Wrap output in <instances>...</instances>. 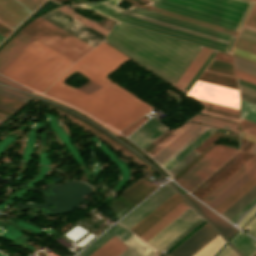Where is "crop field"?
<instances>
[{
  "label": "crop field",
  "mask_w": 256,
  "mask_h": 256,
  "mask_svg": "<svg viewBox=\"0 0 256 256\" xmlns=\"http://www.w3.org/2000/svg\"><path fill=\"white\" fill-rule=\"evenodd\" d=\"M255 213L256 206L242 218L241 222L238 224V227L241 228Z\"/></svg>",
  "instance_id": "obj_53"
},
{
  "label": "crop field",
  "mask_w": 256,
  "mask_h": 256,
  "mask_svg": "<svg viewBox=\"0 0 256 256\" xmlns=\"http://www.w3.org/2000/svg\"><path fill=\"white\" fill-rule=\"evenodd\" d=\"M205 223H206L205 220L201 222L198 226H196L193 230H191L188 234H186L182 239H180L177 243H175L172 247H170L167 251H165V253L168 254L169 252H171L175 247H177L180 243H182L186 238H188L192 233H194L197 229H199Z\"/></svg>",
  "instance_id": "obj_48"
},
{
  "label": "crop field",
  "mask_w": 256,
  "mask_h": 256,
  "mask_svg": "<svg viewBox=\"0 0 256 256\" xmlns=\"http://www.w3.org/2000/svg\"><path fill=\"white\" fill-rule=\"evenodd\" d=\"M53 11L56 12V13H58V14H60L61 16L65 17V18L69 19L70 21H72V22L78 24L79 26L85 28L86 30H88V31H90V32H92V33H94L95 35H97V36H99V37H101V38L104 39L105 36L99 34L98 32L92 30L91 28L85 26L84 24H82V23L78 22L77 20L71 18L70 16L64 14L63 12H61V11H59V10H57V9H55V10H53Z\"/></svg>",
  "instance_id": "obj_41"
},
{
  "label": "crop field",
  "mask_w": 256,
  "mask_h": 256,
  "mask_svg": "<svg viewBox=\"0 0 256 256\" xmlns=\"http://www.w3.org/2000/svg\"><path fill=\"white\" fill-rule=\"evenodd\" d=\"M233 55H234V54H233ZM234 56H237V55H234ZM237 57H239V56H237ZM239 58H242V57H239ZM242 59H245V58H242ZM245 60H248V59H245ZM248 61L253 62V61H251V60H248ZM253 63H256V62H253Z\"/></svg>",
  "instance_id": "obj_68"
},
{
  "label": "crop field",
  "mask_w": 256,
  "mask_h": 256,
  "mask_svg": "<svg viewBox=\"0 0 256 256\" xmlns=\"http://www.w3.org/2000/svg\"><path fill=\"white\" fill-rule=\"evenodd\" d=\"M128 246H130L137 254L140 256H154L156 250L151 248L149 245L144 243L134 234L124 241Z\"/></svg>",
  "instance_id": "obj_31"
},
{
  "label": "crop field",
  "mask_w": 256,
  "mask_h": 256,
  "mask_svg": "<svg viewBox=\"0 0 256 256\" xmlns=\"http://www.w3.org/2000/svg\"><path fill=\"white\" fill-rule=\"evenodd\" d=\"M107 44L174 85L201 46L118 22Z\"/></svg>",
  "instance_id": "obj_2"
},
{
  "label": "crop field",
  "mask_w": 256,
  "mask_h": 256,
  "mask_svg": "<svg viewBox=\"0 0 256 256\" xmlns=\"http://www.w3.org/2000/svg\"><path fill=\"white\" fill-rule=\"evenodd\" d=\"M235 71H236V75H237L238 78H241L243 80H246V81H249V82H252V83L256 84V76L244 73V72L236 70V69H235Z\"/></svg>",
  "instance_id": "obj_49"
},
{
  "label": "crop field",
  "mask_w": 256,
  "mask_h": 256,
  "mask_svg": "<svg viewBox=\"0 0 256 256\" xmlns=\"http://www.w3.org/2000/svg\"><path fill=\"white\" fill-rule=\"evenodd\" d=\"M0 103L4 104V105H7V106H11V107L17 108V109H19L23 105H25V103H22V102H19V101H15V100L3 97V96H0Z\"/></svg>",
  "instance_id": "obj_45"
},
{
  "label": "crop field",
  "mask_w": 256,
  "mask_h": 256,
  "mask_svg": "<svg viewBox=\"0 0 256 256\" xmlns=\"http://www.w3.org/2000/svg\"><path fill=\"white\" fill-rule=\"evenodd\" d=\"M247 233H249L250 235L256 238V225Z\"/></svg>",
  "instance_id": "obj_65"
},
{
  "label": "crop field",
  "mask_w": 256,
  "mask_h": 256,
  "mask_svg": "<svg viewBox=\"0 0 256 256\" xmlns=\"http://www.w3.org/2000/svg\"><path fill=\"white\" fill-rule=\"evenodd\" d=\"M59 10L63 11L64 13L70 15L71 17L77 19L78 21L84 23L85 25L91 27L92 29L98 31L99 33L103 34V35H107V33L109 31H107L106 29H104L103 27L89 21L87 18L79 15L78 13L66 8V7H61V8H58Z\"/></svg>",
  "instance_id": "obj_34"
},
{
  "label": "crop field",
  "mask_w": 256,
  "mask_h": 256,
  "mask_svg": "<svg viewBox=\"0 0 256 256\" xmlns=\"http://www.w3.org/2000/svg\"><path fill=\"white\" fill-rule=\"evenodd\" d=\"M200 217L201 216L190 207L147 243L159 250Z\"/></svg>",
  "instance_id": "obj_9"
},
{
  "label": "crop field",
  "mask_w": 256,
  "mask_h": 256,
  "mask_svg": "<svg viewBox=\"0 0 256 256\" xmlns=\"http://www.w3.org/2000/svg\"><path fill=\"white\" fill-rule=\"evenodd\" d=\"M185 195L223 233L228 240L238 231L191 197L189 194L186 193Z\"/></svg>",
  "instance_id": "obj_21"
},
{
  "label": "crop field",
  "mask_w": 256,
  "mask_h": 256,
  "mask_svg": "<svg viewBox=\"0 0 256 256\" xmlns=\"http://www.w3.org/2000/svg\"><path fill=\"white\" fill-rule=\"evenodd\" d=\"M252 256H256V253H254Z\"/></svg>",
  "instance_id": "obj_72"
},
{
  "label": "crop field",
  "mask_w": 256,
  "mask_h": 256,
  "mask_svg": "<svg viewBox=\"0 0 256 256\" xmlns=\"http://www.w3.org/2000/svg\"><path fill=\"white\" fill-rule=\"evenodd\" d=\"M217 129L210 128L202 136H200L196 141H194L190 146H188L184 151H182L178 156H176L172 161H170L163 168L168 172L173 168L180 160H182L188 153L195 149L199 144H201L207 137H209Z\"/></svg>",
  "instance_id": "obj_30"
},
{
  "label": "crop field",
  "mask_w": 256,
  "mask_h": 256,
  "mask_svg": "<svg viewBox=\"0 0 256 256\" xmlns=\"http://www.w3.org/2000/svg\"><path fill=\"white\" fill-rule=\"evenodd\" d=\"M159 254H160L159 252H156L155 256H159Z\"/></svg>",
  "instance_id": "obj_70"
},
{
  "label": "crop field",
  "mask_w": 256,
  "mask_h": 256,
  "mask_svg": "<svg viewBox=\"0 0 256 256\" xmlns=\"http://www.w3.org/2000/svg\"><path fill=\"white\" fill-rule=\"evenodd\" d=\"M30 11H34L44 0H17Z\"/></svg>",
  "instance_id": "obj_42"
},
{
  "label": "crop field",
  "mask_w": 256,
  "mask_h": 256,
  "mask_svg": "<svg viewBox=\"0 0 256 256\" xmlns=\"http://www.w3.org/2000/svg\"><path fill=\"white\" fill-rule=\"evenodd\" d=\"M186 96L238 109L239 99L235 89L197 81Z\"/></svg>",
  "instance_id": "obj_8"
},
{
  "label": "crop field",
  "mask_w": 256,
  "mask_h": 256,
  "mask_svg": "<svg viewBox=\"0 0 256 256\" xmlns=\"http://www.w3.org/2000/svg\"><path fill=\"white\" fill-rule=\"evenodd\" d=\"M241 127L243 131L256 135V124L247 120L241 119Z\"/></svg>",
  "instance_id": "obj_43"
},
{
  "label": "crop field",
  "mask_w": 256,
  "mask_h": 256,
  "mask_svg": "<svg viewBox=\"0 0 256 256\" xmlns=\"http://www.w3.org/2000/svg\"><path fill=\"white\" fill-rule=\"evenodd\" d=\"M255 163H256V156L251 158L247 163H245L241 168H239L235 173H233L229 178H227L223 183H221L217 188H215L211 193H209L201 201H203L207 205L209 202H211L216 196H218L223 190H225L230 184H232L237 178H239L244 172H246Z\"/></svg>",
  "instance_id": "obj_23"
},
{
  "label": "crop field",
  "mask_w": 256,
  "mask_h": 256,
  "mask_svg": "<svg viewBox=\"0 0 256 256\" xmlns=\"http://www.w3.org/2000/svg\"><path fill=\"white\" fill-rule=\"evenodd\" d=\"M240 117L256 123V106L241 101Z\"/></svg>",
  "instance_id": "obj_35"
},
{
  "label": "crop field",
  "mask_w": 256,
  "mask_h": 256,
  "mask_svg": "<svg viewBox=\"0 0 256 256\" xmlns=\"http://www.w3.org/2000/svg\"><path fill=\"white\" fill-rule=\"evenodd\" d=\"M11 31L12 30H10L8 27L0 23V34L6 37Z\"/></svg>",
  "instance_id": "obj_59"
},
{
  "label": "crop field",
  "mask_w": 256,
  "mask_h": 256,
  "mask_svg": "<svg viewBox=\"0 0 256 256\" xmlns=\"http://www.w3.org/2000/svg\"><path fill=\"white\" fill-rule=\"evenodd\" d=\"M9 115H6V114H3V113H0V119H3L5 120L6 118H8Z\"/></svg>",
  "instance_id": "obj_67"
},
{
  "label": "crop field",
  "mask_w": 256,
  "mask_h": 256,
  "mask_svg": "<svg viewBox=\"0 0 256 256\" xmlns=\"http://www.w3.org/2000/svg\"><path fill=\"white\" fill-rule=\"evenodd\" d=\"M0 82L4 83V84H6V85H9V86L18 88V89H20V90L29 92V93L31 92L30 90H28V89H26V88H24V87H22V86H20V85H18V84H15V83H13V82H11V81H9V80H7V79L1 77V76H0Z\"/></svg>",
  "instance_id": "obj_51"
},
{
  "label": "crop field",
  "mask_w": 256,
  "mask_h": 256,
  "mask_svg": "<svg viewBox=\"0 0 256 256\" xmlns=\"http://www.w3.org/2000/svg\"><path fill=\"white\" fill-rule=\"evenodd\" d=\"M241 137H242V138H245V139H247V140L256 142V136L251 135V134H248V133H246V132H243V131H242Z\"/></svg>",
  "instance_id": "obj_60"
},
{
  "label": "crop field",
  "mask_w": 256,
  "mask_h": 256,
  "mask_svg": "<svg viewBox=\"0 0 256 256\" xmlns=\"http://www.w3.org/2000/svg\"><path fill=\"white\" fill-rule=\"evenodd\" d=\"M233 59H234V65L236 69L256 75V64L250 63L248 61L239 59L234 56H233Z\"/></svg>",
  "instance_id": "obj_37"
},
{
  "label": "crop field",
  "mask_w": 256,
  "mask_h": 256,
  "mask_svg": "<svg viewBox=\"0 0 256 256\" xmlns=\"http://www.w3.org/2000/svg\"><path fill=\"white\" fill-rule=\"evenodd\" d=\"M160 256H165V255H163V254H160Z\"/></svg>",
  "instance_id": "obj_73"
},
{
  "label": "crop field",
  "mask_w": 256,
  "mask_h": 256,
  "mask_svg": "<svg viewBox=\"0 0 256 256\" xmlns=\"http://www.w3.org/2000/svg\"><path fill=\"white\" fill-rule=\"evenodd\" d=\"M189 207L190 206L184 200L139 237L147 242Z\"/></svg>",
  "instance_id": "obj_19"
},
{
  "label": "crop field",
  "mask_w": 256,
  "mask_h": 256,
  "mask_svg": "<svg viewBox=\"0 0 256 256\" xmlns=\"http://www.w3.org/2000/svg\"><path fill=\"white\" fill-rule=\"evenodd\" d=\"M121 0H101L79 6L94 10L115 20L230 54L235 36L129 6H117Z\"/></svg>",
  "instance_id": "obj_3"
},
{
  "label": "crop field",
  "mask_w": 256,
  "mask_h": 256,
  "mask_svg": "<svg viewBox=\"0 0 256 256\" xmlns=\"http://www.w3.org/2000/svg\"><path fill=\"white\" fill-rule=\"evenodd\" d=\"M127 248L126 245L114 236L90 256H118Z\"/></svg>",
  "instance_id": "obj_25"
},
{
  "label": "crop field",
  "mask_w": 256,
  "mask_h": 256,
  "mask_svg": "<svg viewBox=\"0 0 256 256\" xmlns=\"http://www.w3.org/2000/svg\"><path fill=\"white\" fill-rule=\"evenodd\" d=\"M175 192L176 191L166 183L158 192L152 195L118 223L129 229Z\"/></svg>",
  "instance_id": "obj_10"
},
{
  "label": "crop field",
  "mask_w": 256,
  "mask_h": 256,
  "mask_svg": "<svg viewBox=\"0 0 256 256\" xmlns=\"http://www.w3.org/2000/svg\"><path fill=\"white\" fill-rule=\"evenodd\" d=\"M255 197H256V185L252 189H250L245 195H243L238 201H236L232 206H230L221 215H223L225 218L229 220L237 212H239L244 206H246L250 201H252Z\"/></svg>",
  "instance_id": "obj_28"
},
{
  "label": "crop field",
  "mask_w": 256,
  "mask_h": 256,
  "mask_svg": "<svg viewBox=\"0 0 256 256\" xmlns=\"http://www.w3.org/2000/svg\"><path fill=\"white\" fill-rule=\"evenodd\" d=\"M199 102L206 105V106H210V107H214V108H218V109H222V110H225V111H229V112H233V113L238 114V110H236V109H232V108H228V107H224V106H219V105H215V104H211V103H207V102H202V101H199Z\"/></svg>",
  "instance_id": "obj_52"
},
{
  "label": "crop field",
  "mask_w": 256,
  "mask_h": 256,
  "mask_svg": "<svg viewBox=\"0 0 256 256\" xmlns=\"http://www.w3.org/2000/svg\"><path fill=\"white\" fill-rule=\"evenodd\" d=\"M0 107L5 108V109H8V110H11V111H14V112L17 111V109L10 108V107H7V106L1 105V104H0Z\"/></svg>",
  "instance_id": "obj_66"
},
{
  "label": "crop field",
  "mask_w": 256,
  "mask_h": 256,
  "mask_svg": "<svg viewBox=\"0 0 256 256\" xmlns=\"http://www.w3.org/2000/svg\"><path fill=\"white\" fill-rule=\"evenodd\" d=\"M237 151L216 146L175 181L190 192Z\"/></svg>",
  "instance_id": "obj_7"
},
{
  "label": "crop field",
  "mask_w": 256,
  "mask_h": 256,
  "mask_svg": "<svg viewBox=\"0 0 256 256\" xmlns=\"http://www.w3.org/2000/svg\"><path fill=\"white\" fill-rule=\"evenodd\" d=\"M232 53L237 54V55L242 56V57H245V58H248V59H251L253 61H256V55L245 52V51H242L240 49H237V48L233 47Z\"/></svg>",
  "instance_id": "obj_50"
},
{
  "label": "crop field",
  "mask_w": 256,
  "mask_h": 256,
  "mask_svg": "<svg viewBox=\"0 0 256 256\" xmlns=\"http://www.w3.org/2000/svg\"><path fill=\"white\" fill-rule=\"evenodd\" d=\"M127 59L102 42L78 60L44 94L70 103L120 131L153 108L104 77ZM75 70L104 88L88 95L60 82Z\"/></svg>",
  "instance_id": "obj_1"
},
{
  "label": "crop field",
  "mask_w": 256,
  "mask_h": 256,
  "mask_svg": "<svg viewBox=\"0 0 256 256\" xmlns=\"http://www.w3.org/2000/svg\"><path fill=\"white\" fill-rule=\"evenodd\" d=\"M189 121L197 122V123H202L214 127H219L227 130H232L237 133H239V126L236 123L220 120V119H215L203 115L196 114L193 117L189 119Z\"/></svg>",
  "instance_id": "obj_26"
},
{
  "label": "crop field",
  "mask_w": 256,
  "mask_h": 256,
  "mask_svg": "<svg viewBox=\"0 0 256 256\" xmlns=\"http://www.w3.org/2000/svg\"><path fill=\"white\" fill-rule=\"evenodd\" d=\"M41 17L93 47L103 40L52 11Z\"/></svg>",
  "instance_id": "obj_12"
},
{
  "label": "crop field",
  "mask_w": 256,
  "mask_h": 256,
  "mask_svg": "<svg viewBox=\"0 0 256 256\" xmlns=\"http://www.w3.org/2000/svg\"><path fill=\"white\" fill-rule=\"evenodd\" d=\"M73 63L34 40L1 74L43 93Z\"/></svg>",
  "instance_id": "obj_4"
},
{
  "label": "crop field",
  "mask_w": 256,
  "mask_h": 256,
  "mask_svg": "<svg viewBox=\"0 0 256 256\" xmlns=\"http://www.w3.org/2000/svg\"><path fill=\"white\" fill-rule=\"evenodd\" d=\"M209 127H205L198 134H196L191 140H189L184 146H182L178 151H176L171 157H169L165 162L161 165L162 167L167 164L171 159H173L177 154H179L183 149H185L189 144H191L195 139H197L201 134H203Z\"/></svg>",
  "instance_id": "obj_40"
},
{
  "label": "crop field",
  "mask_w": 256,
  "mask_h": 256,
  "mask_svg": "<svg viewBox=\"0 0 256 256\" xmlns=\"http://www.w3.org/2000/svg\"><path fill=\"white\" fill-rule=\"evenodd\" d=\"M255 224H256V216L242 230L244 231L246 228L251 229Z\"/></svg>",
  "instance_id": "obj_63"
},
{
  "label": "crop field",
  "mask_w": 256,
  "mask_h": 256,
  "mask_svg": "<svg viewBox=\"0 0 256 256\" xmlns=\"http://www.w3.org/2000/svg\"><path fill=\"white\" fill-rule=\"evenodd\" d=\"M204 127V125L192 123L152 158L161 164Z\"/></svg>",
  "instance_id": "obj_15"
},
{
  "label": "crop field",
  "mask_w": 256,
  "mask_h": 256,
  "mask_svg": "<svg viewBox=\"0 0 256 256\" xmlns=\"http://www.w3.org/2000/svg\"><path fill=\"white\" fill-rule=\"evenodd\" d=\"M254 174H256V164L251 167L246 173H244L239 179H237L232 185H230L225 191H223L218 197H216L207 206L215 208L222 201H224L229 195H231L235 190H237L242 184H244L248 179H250Z\"/></svg>",
  "instance_id": "obj_24"
},
{
  "label": "crop field",
  "mask_w": 256,
  "mask_h": 256,
  "mask_svg": "<svg viewBox=\"0 0 256 256\" xmlns=\"http://www.w3.org/2000/svg\"><path fill=\"white\" fill-rule=\"evenodd\" d=\"M231 242L244 256L256 252V242L241 232Z\"/></svg>",
  "instance_id": "obj_29"
},
{
  "label": "crop field",
  "mask_w": 256,
  "mask_h": 256,
  "mask_svg": "<svg viewBox=\"0 0 256 256\" xmlns=\"http://www.w3.org/2000/svg\"><path fill=\"white\" fill-rule=\"evenodd\" d=\"M34 39L26 34L19 32L1 51H0V72L18 56Z\"/></svg>",
  "instance_id": "obj_17"
},
{
  "label": "crop field",
  "mask_w": 256,
  "mask_h": 256,
  "mask_svg": "<svg viewBox=\"0 0 256 256\" xmlns=\"http://www.w3.org/2000/svg\"><path fill=\"white\" fill-rule=\"evenodd\" d=\"M215 235H217V233L206 224L168 255L190 256Z\"/></svg>",
  "instance_id": "obj_11"
},
{
  "label": "crop field",
  "mask_w": 256,
  "mask_h": 256,
  "mask_svg": "<svg viewBox=\"0 0 256 256\" xmlns=\"http://www.w3.org/2000/svg\"><path fill=\"white\" fill-rule=\"evenodd\" d=\"M211 52L212 50L202 47V49L199 51V53L196 55V57L193 59V61L190 63V65L187 67V69L184 71L174 86L183 91L193 76L196 74V72L199 70V68L202 66V64L205 62V60L208 58V56L211 54Z\"/></svg>",
  "instance_id": "obj_18"
},
{
  "label": "crop field",
  "mask_w": 256,
  "mask_h": 256,
  "mask_svg": "<svg viewBox=\"0 0 256 256\" xmlns=\"http://www.w3.org/2000/svg\"><path fill=\"white\" fill-rule=\"evenodd\" d=\"M247 153L255 154L256 155V143H254L251 148L247 151Z\"/></svg>",
  "instance_id": "obj_64"
},
{
  "label": "crop field",
  "mask_w": 256,
  "mask_h": 256,
  "mask_svg": "<svg viewBox=\"0 0 256 256\" xmlns=\"http://www.w3.org/2000/svg\"><path fill=\"white\" fill-rule=\"evenodd\" d=\"M151 11H155V12H158V13H161V14H165V15H168V16H171V17H175V18H178V19H181V20H185V21H188V22H191V23H195V24L205 26V27H208V28H211V29H215V30H218V31H221V32H225V33H228V34H231V35H235V36L237 35V32H233V31H230V30H227V29H223V28H220V27H217V26H213V25H210V24H207V23H203V22H200V21H197V20H193V19H190V18H187V17H183V16L173 14V13H170V12H167V11H163V10H160V9H157V8L152 7Z\"/></svg>",
  "instance_id": "obj_33"
},
{
  "label": "crop field",
  "mask_w": 256,
  "mask_h": 256,
  "mask_svg": "<svg viewBox=\"0 0 256 256\" xmlns=\"http://www.w3.org/2000/svg\"><path fill=\"white\" fill-rule=\"evenodd\" d=\"M152 6L239 32L254 1L151 0ZM256 3V2H255Z\"/></svg>",
  "instance_id": "obj_5"
},
{
  "label": "crop field",
  "mask_w": 256,
  "mask_h": 256,
  "mask_svg": "<svg viewBox=\"0 0 256 256\" xmlns=\"http://www.w3.org/2000/svg\"><path fill=\"white\" fill-rule=\"evenodd\" d=\"M238 88H239V91H240V92H243V93H246V94H248V95H251V96L256 97V92L247 90V89L242 88V87H239V86H238Z\"/></svg>",
  "instance_id": "obj_61"
},
{
  "label": "crop field",
  "mask_w": 256,
  "mask_h": 256,
  "mask_svg": "<svg viewBox=\"0 0 256 256\" xmlns=\"http://www.w3.org/2000/svg\"><path fill=\"white\" fill-rule=\"evenodd\" d=\"M239 38L256 43V33L247 29H242Z\"/></svg>",
  "instance_id": "obj_46"
},
{
  "label": "crop field",
  "mask_w": 256,
  "mask_h": 256,
  "mask_svg": "<svg viewBox=\"0 0 256 256\" xmlns=\"http://www.w3.org/2000/svg\"><path fill=\"white\" fill-rule=\"evenodd\" d=\"M3 122V120H0V123Z\"/></svg>",
  "instance_id": "obj_74"
},
{
  "label": "crop field",
  "mask_w": 256,
  "mask_h": 256,
  "mask_svg": "<svg viewBox=\"0 0 256 256\" xmlns=\"http://www.w3.org/2000/svg\"><path fill=\"white\" fill-rule=\"evenodd\" d=\"M115 234L124 241L133 233L129 232L128 230L122 228L119 225H116L115 227H113L112 229L104 233L101 237H99L95 242H93L90 246H88L85 250H83L77 256H89L92 252H94L97 248L103 245Z\"/></svg>",
  "instance_id": "obj_22"
},
{
  "label": "crop field",
  "mask_w": 256,
  "mask_h": 256,
  "mask_svg": "<svg viewBox=\"0 0 256 256\" xmlns=\"http://www.w3.org/2000/svg\"><path fill=\"white\" fill-rule=\"evenodd\" d=\"M256 202V198L250 202L245 208H243L239 213H237L232 219H230L229 221H231L232 223L235 224V222L237 221V219L240 217L241 214H243L250 206H252L254 203Z\"/></svg>",
  "instance_id": "obj_54"
},
{
  "label": "crop field",
  "mask_w": 256,
  "mask_h": 256,
  "mask_svg": "<svg viewBox=\"0 0 256 256\" xmlns=\"http://www.w3.org/2000/svg\"><path fill=\"white\" fill-rule=\"evenodd\" d=\"M253 11H256V5H255V7L253 8Z\"/></svg>",
  "instance_id": "obj_71"
},
{
  "label": "crop field",
  "mask_w": 256,
  "mask_h": 256,
  "mask_svg": "<svg viewBox=\"0 0 256 256\" xmlns=\"http://www.w3.org/2000/svg\"><path fill=\"white\" fill-rule=\"evenodd\" d=\"M234 47L256 54V44L237 38Z\"/></svg>",
  "instance_id": "obj_39"
},
{
  "label": "crop field",
  "mask_w": 256,
  "mask_h": 256,
  "mask_svg": "<svg viewBox=\"0 0 256 256\" xmlns=\"http://www.w3.org/2000/svg\"><path fill=\"white\" fill-rule=\"evenodd\" d=\"M22 31L74 61L93 48L40 17Z\"/></svg>",
  "instance_id": "obj_6"
},
{
  "label": "crop field",
  "mask_w": 256,
  "mask_h": 256,
  "mask_svg": "<svg viewBox=\"0 0 256 256\" xmlns=\"http://www.w3.org/2000/svg\"><path fill=\"white\" fill-rule=\"evenodd\" d=\"M167 129L151 117L128 138L143 149Z\"/></svg>",
  "instance_id": "obj_14"
},
{
  "label": "crop field",
  "mask_w": 256,
  "mask_h": 256,
  "mask_svg": "<svg viewBox=\"0 0 256 256\" xmlns=\"http://www.w3.org/2000/svg\"><path fill=\"white\" fill-rule=\"evenodd\" d=\"M225 243L222 237L218 235L192 256H214Z\"/></svg>",
  "instance_id": "obj_32"
},
{
  "label": "crop field",
  "mask_w": 256,
  "mask_h": 256,
  "mask_svg": "<svg viewBox=\"0 0 256 256\" xmlns=\"http://www.w3.org/2000/svg\"><path fill=\"white\" fill-rule=\"evenodd\" d=\"M145 118H140L139 120H137L136 122H134L133 124H131L129 127H127L126 129H124L123 131H121V134H123L124 136H128L129 134H131L135 129H137L142 123H144Z\"/></svg>",
  "instance_id": "obj_47"
},
{
  "label": "crop field",
  "mask_w": 256,
  "mask_h": 256,
  "mask_svg": "<svg viewBox=\"0 0 256 256\" xmlns=\"http://www.w3.org/2000/svg\"><path fill=\"white\" fill-rule=\"evenodd\" d=\"M31 13L15 0H0V22L12 30Z\"/></svg>",
  "instance_id": "obj_13"
},
{
  "label": "crop field",
  "mask_w": 256,
  "mask_h": 256,
  "mask_svg": "<svg viewBox=\"0 0 256 256\" xmlns=\"http://www.w3.org/2000/svg\"><path fill=\"white\" fill-rule=\"evenodd\" d=\"M215 54L216 52L213 51L212 54L209 56V58L206 60V62L203 64V66L200 68V70L197 72V74L194 76V78L191 80V82L188 84V86L185 88L183 92L187 93V91L190 89V87L193 85V83L196 81V79L199 77L201 72L204 70V68L207 66V64L210 62V60L213 58Z\"/></svg>",
  "instance_id": "obj_44"
},
{
  "label": "crop field",
  "mask_w": 256,
  "mask_h": 256,
  "mask_svg": "<svg viewBox=\"0 0 256 256\" xmlns=\"http://www.w3.org/2000/svg\"><path fill=\"white\" fill-rule=\"evenodd\" d=\"M237 81H238V84H239V85H242V86H245V87H247V88L256 90V85H254V84H252V83L243 81V80L238 79V78H237Z\"/></svg>",
  "instance_id": "obj_58"
},
{
  "label": "crop field",
  "mask_w": 256,
  "mask_h": 256,
  "mask_svg": "<svg viewBox=\"0 0 256 256\" xmlns=\"http://www.w3.org/2000/svg\"><path fill=\"white\" fill-rule=\"evenodd\" d=\"M245 24L256 28V12H251Z\"/></svg>",
  "instance_id": "obj_56"
},
{
  "label": "crop field",
  "mask_w": 256,
  "mask_h": 256,
  "mask_svg": "<svg viewBox=\"0 0 256 256\" xmlns=\"http://www.w3.org/2000/svg\"><path fill=\"white\" fill-rule=\"evenodd\" d=\"M0 95L9 97V98H12V99H15V100H19V101H22V102H25V103H27V102H29L33 99L29 96H26L22 93H19V92L15 91V90L8 89V88L2 87V86H0Z\"/></svg>",
  "instance_id": "obj_36"
},
{
  "label": "crop field",
  "mask_w": 256,
  "mask_h": 256,
  "mask_svg": "<svg viewBox=\"0 0 256 256\" xmlns=\"http://www.w3.org/2000/svg\"><path fill=\"white\" fill-rule=\"evenodd\" d=\"M183 200L178 193L174 194L130 231L139 236Z\"/></svg>",
  "instance_id": "obj_16"
},
{
  "label": "crop field",
  "mask_w": 256,
  "mask_h": 256,
  "mask_svg": "<svg viewBox=\"0 0 256 256\" xmlns=\"http://www.w3.org/2000/svg\"><path fill=\"white\" fill-rule=\"evenodd\" d=\"M5 37H3L2 35H0V42L4 39Z\"/></svg>",
  "instance_id": "obj_69"
},
{
  "label": "crop field",
  "mask_w": 256,
  "mask_h": 256,
  "mask_svg": "<svg viewBox=\"0 0 256 256\" xmlns=\"http://www.w3.org/2000/svg\"><path fill=\"white\" fill-rule=\"evenodd\" d=\"M119 256H138L137 254H135L132 250H130L129 248L127 250H125L121 255Z\"/></svg>",
  "instance_id": "obj_62"
},
{
  "label": "crop field",
  "mask_w": 256,
  "mask_h": 256,
  "mask_svg": "<svg viewBox=\"0 0 256 256\" xmlns=\"http://www.w3.org/2000/svg\"><path fill=\"white\" fill-rule=\"evenodd\" d=\"M239 95H240L241 100H244V101H247V102H250V103L256 105V98L248 96V95L240 93V92H239Z\"/></svg>",
  "instance_id": "obj_57"
},
{
  "label": "crop field",
  "mask_w": 256,
  "mask_h": 256,
  "mask_svg": "<svg viewBox=\"0 0 256 256\" xmlns=\"http://www.w3.org/2000/svg\"><path fill=\"white\" fill-rule=\"evenodd\" d=\"M155 188H157V186L140 178L122 194H120V196L137 204Z\"/></svg>",
  "instance_id": "obj_20"
},
{
  "label": "crop field",
  "mask_w": 256,
  "mask_h": 256,
  "mask_svg": "<svg viewBox=\"0 0 256 256\" xmlns=\"http://www.w3.org/2000/svg\"><path fill=\"white\" fill-rule=\"evenodd\" d=\"M200 152L192 151L187 157H185L179 164H177L172 170L168 173L172 177L175 175L179 170H181L185 165H187L191 160H193Z\"/></svg>",
  "instance_id": "obj_38"
},
{
  "label": "crop field",
  "mask_w": 256,
  "mask_h": 256,
  "mask_svg": "<svg viewBox=\"0 0 256 256\" xmlns=\"http://www.w3.org/2000/svg\"><path fill=\"white\" fill-rule=\"evenodd\" d=\"M218 256H238L232 248L228 245L226 246Z\"/></svg>",
  "instance_id": "obj_55"
},
{
  "label": "crop field",
  "mask_w": 256,
  "mask_h": 256,
  "mask_svg": "<svg viewBox=\"0 0 256 256\" xmlns=\"http://www.w3.org/2000/svg\"><path fill=\"white\" fill-rule=\"evenodd\" d=\"M255 184H256V175H254L250 180H248L243 186H241L237 191H235L231 196H229L224 202H222L214 210H216L218 213L221 214L236 200H238L243 194H245L250 188H252Z\"/></svg>",
  "instance_id": "obj_27"
}]
</instances>
